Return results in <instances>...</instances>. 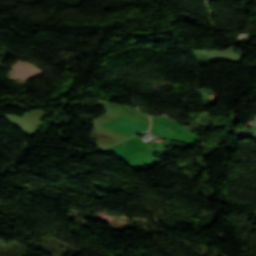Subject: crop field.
<instances>
[{
  "label": "crop field",
  "mask_w": 256,
  "mask_h": 256,
  "mask_svg": "<svg viewBox=\"0 0 256 256\" xmlns=\"http://www.w3.org/2000/svg\"><path fill=\"white\" fill-rule=\"evenodd\" d=\"M1 65V64H0Z\"/></svg>",
  "instance_id": "obj_2"
},
{
  "label": "crop field",
  "mask_w": 256,
  "mask_h": 256,
  "mask_svg": "<svg viewBox=\"0 0 256 256\" xmlns=\"http://www.w3.org/2000/svg\"><path fill=\"white\" fill-rule=\"evenodd\" d=\"M105 126H108L110 128L116 129L118 131L130 134V135H134L137 132L146 130L148 128V126H146V125H142V124H138V123L122 120V119L114 121Z\"/></svg>",
  "instance_id": "obj_1"
}]
</instances>
